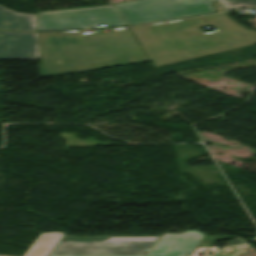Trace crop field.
<instances>
[{
	"instance_id": "crop-field-10",
	"label": "crop field",
	"mask_w": 256,
	"mask_h": 256,
	"mask_svg": "<svg viewBox=\"0 0 256 256\" xmlns=\"http://www.w3.org/2000/svg\"><path fill=\"white\" fill-rule=\"evenodd\" d=\"M226 7H234V6H244L251 7L256 6V0H221Z\"/></svg>"
},
{
	"instance_id": "crop-field-9",
	"label": "crop field",
	"mask_w": 256,
	"mask_h": 256,
	"mask_svg": "<svg viewBox=\"0 0 256 256\" xmlns=\"http://www.w3.org/2000/svg\"><path fill=\"white\" fill-rule=\"evenodd\" d=\"M65 233H41L23 256H48Z\"/></svg>"
},
{
	"instance_id": "crop-field-6",
	"label": "crop field",
	"mask_w": 256,
	"mask_h": 256,
	"mask_svg": "<svg viewBox=\"0 0 256 256\" xmlns=\"http://www.w3.org/2000/svg\"><path fill=\"white\" fill-rule=\"evenodd\" d=\"M229 238L234 237L208 236L199 231L163 233L147 256H187L200 245L213 246L216 240Z\"/></svg>"
},
{
	"instance_id": "crop-field-2",
	"label": "crop field",
	"mask_w": 256,
	"mask_h": 256,
	"mask_svg": "<svg viewBox=\"0 0 256 256\" xmlns=\"http://www.w3.org/2000/svg\"><path fill=\"white\" fill-rule=\"evenodd\" d=\"M43 76L150 61L129 30L39 33Z\"/></svg>"
},
{
	"instance_id": "crop-field-5",
	"label": "crop field",
	"mask_w": 256,
	"mask_h": 256,
	"mask_svg": "<svg viewBox=\"0 0 256 256\" xmlns=\"http://www.w3.org/2000/svg\"><path fill=\"white\" fill-rule=\"evenodd\" d=\"M38 31L90 28L105 24L107 27L125 26L114 7H93L37 13Z\"/></svg>"
},
{
	"instance_id": "crop-field-8",
	"label": "crop field",
	"mask_w": 256,
	"mask_h": 256,
	"mask_svg": "<svg viewBox=\"0 0 256 256\" xmlns=\"http://www.w3.org/2000/svg\"><path fill=\"white\" fill-rule=\"evenodd\" d=\"M0 30L37 31L36 15L14 13L0 6Z\"/></svg>"
},
{
	"instance_id": "crop-field-7",
	"label": "crop field",
	"mask_w": 256,
	"mask_h": 256,
	"mask_svg": "<svg viewBox=\"0 0 256 256\" xmlns=\"http://www.w3.org/2000/svg\"><path fill=\"white\" fill-rule=\"evenodd\" d=\"M0 59H40L38 33L0 32Z\"/></svg>"
},
{
	"instance_id": "crop-field-11",
	"label": "crop field",
	"mask_w": 256,
	"mask_h": 256,
	"mask_svg": "<svg viewBox=\"0 0 256 256\" xmlns=\"http://www.w3.org/2000/svg\"><path fill=\"white\" fill-rule=\"evenodd\" d=\"M214 256H221V255H219V254L217 253V254H215ZM240 256H243V255H240Z\"/></svg>"
},
{
	"instance_id": "crop-field-4",
	"label": "crop field",
	"mask_w": 256,
	"mask_h": 256,
	"mask_svg": "<svg viewBox=\"0 0 256 256\" xmlns=\"http://www.w3.org/2000/svg\"><path fill=\"white\" fill-rule=\"evenodd\" d=\"M215 0H137L115 7L127 25L214 12Z\"/></svg>"
},
{
	"instance_id": "crop-field-3",
	"label": "crop field",
	"mask_w": 256,
	"mask_h": 256,
	"mask_svg": "<svg viewBox=\"0 0 256 256\" xmlns=\"http://www.w3.org/2000/svg\"><path fill=\"white\" fill-rule=\"evenodd\" d=\"M157 236L63 237L49 256H143Z\"/></svg>"
},
{
	"instance_id": "crop-field-1",
	"label": "crop field",
	"mask_w": 256,
	"mask_h": 256,
	"mask_svg": "<svg viewBox=\"0 0 256 256\" xmlns=\"http://www.w3.org/2000/svg\"><path fill=\"white\" fill-rule=\"evenodd\" d=\"M203 18L216 31L204 33L199 30L205 25L201 17L130 30L155 67L256 44V31L247 30L225 13Z\"/></svg>"
}]
</instances>
